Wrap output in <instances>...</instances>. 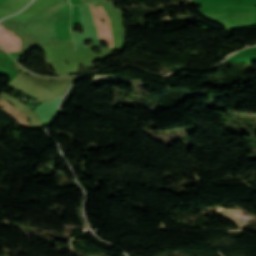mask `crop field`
<instances>
[{
    "label": "crop field",
    "instance_id": "crop-field-1",
    "mask_svg": "<svg viewBox=\"0 0 256 256\" xmlns=\"http://www.w3.org/2000/svg\"><path fill=\"white\" fill-rule=\"evenodd\" d=\"M96 19L98 22V26H99V35H100V41L104 40L106 41V37H105V27L104 24H102L100 22V20L103 19L102 15L100 14V12L98 11L97 7L92 6L91 4H89ZM83 11V15L84 18L87 22V25L90 29V35H91V39H93L94 42L99 41V35H98V26H97V22L96 19L90 9V7L88 5H80Z\"/></svg>",
    "mask_w": 256,
    "mask_h": 256
},
{
    "label": "crop field",
    "instance_id": "crop-field-2",
    "mask_svg": "<svg viewBox=\"0 0 256 256\" xmlns=\"http://www.w3.org/2000/svg\"><path fill=\"white\" fill-rule=\"evenodd\" d=\"M18 36V35H17ZM0 45L7 51H20L21 40L14 35V32L5 29L0 25Z\"/></svg>",
    "mask_w": 256,
    "mask_h": 256
}]
</instances>
